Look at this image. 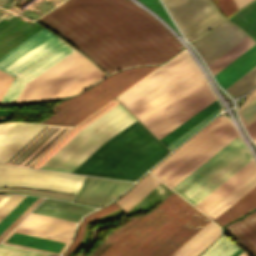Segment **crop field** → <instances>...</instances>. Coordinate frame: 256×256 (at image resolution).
<instances>
[{"instance_id": "crop-field-1", "label": "crop field", "mask_w": 256, "mask_h": 256, "mask_svg": "<svg viewBox=\"0 0 256 256\" xmlns=\"http://www.w3.org/2000/svg\"><path fill=\"white\" fill-rule=\"evenodd\" d=\"M38 22L82 50L107 74L162 63L183 49L160 23L129 0H67Z\"/></svg>"}, {"instance_id": "crop-field-2", "label": "crop field", "mask_w": 256, "mask_h": 256, "mask_svg": "<svg viewBox=\"0 0 256 256\" xmlns=\"http://www.w3.org/2000/svg\"><path fill=\"white\" fill-rule=\"evenodd\" d=\"M168 153L136 120L103 143L73 173L135 181Z\"/></svg>"}, {"instance_id": "crop-field-3", "label": "crop field", "mask_w": 256, "mask_h": 256, "mask_svg": "<svg viewBox=\"0 0 256 256\" xmlns=\"http://www.w3.org/2000/svg\"><path fill=\"white\" fill-rule=\"evenodd\" d=\"M94 67L75 50L27 83L14 104H34L49 100ZM103 76L105 74L96 67L52 99L77 94Z\"/></svg>"}, {"instance_id": "crop-field-4", "label": "crop field", "mask_w": 256, "mask_h": 256, "mask_svg": "<svg viewBox=\"0 0 256 256\" xmlns=\"http://www.w3.org/2000/svg\"><path fill=\"white\" fill-rule=\"evenodd\" d=\"M136 120L120 103L80 130L39 168L70 173L103 142Z\"/></svg>"}, {"instance_id": "crop-field-5", "label": "crop field", "mask_w": 256, "mask_h": 256, "mask_svg": "<svg viewBox=\"0 0 256 256\" xmlns=\"http://www.w3.org/2000/svg\"><path fill=\"white\" fill-rule=\"evenodd\" d=\"M158 67L139 66L115 73L86 92L53 107V112L61 109L42 123L75 125Z\"/></svg>"}, {"instance_id": "crop-field-6", "label": "crop field", "mask_w": 256, "mask_h": 256, "mask_svg": "<svg viewBox=\"0 0 256 256\" xmlns=\"http://www.w3.org/2000/svg\"><path fill=\"white\" fill-rule=\"evenodd\" d=\"M251 160L238 136L172 189L195 206Z\"/></svg>"}, {"instance_id": "crop-field-7", "label": "crop field", "mask_w": 256, "mask_h": 256, "mask_svg": "<svg viewBox=\"0 0 256 256\" xmlns=\"http://www.w3.org/2000/svg\"><path fill=\"white\" fill-rule=\"evenodd\" d=\"M234 130L229 120L217 117L150 172L167 184Z\"/></svg>"}, {"instance_id": "crop-field-8", "label": "crop field", "mask_w": 256, "mask_h": 256, "mask_svg": "<svg viewBox=\"0 0 256 256\" xmlns=\"http://www.w3.org/2000/svg\"><path fill=\"white\" fill-rule=\"evenodd\" d=\"M254 43L236 25L226 20L193 45L214 76Z\"/></svg>"}, {"instance_id": "crop-field-9", "label": "crop field", "mask_w": 256, "mask_h": 256, "mask_svg": "<svg viewBox=\"0 0 256 256\" xmlns=\"http://www.w3.org/2000/svg\"><path fill=\"white\" fill-rule=\"evenodd\" d=\"M204 83L195 65L129 112L145 126Z\"/></svg>"}, {"instance_id": "crop-field-10", "label": "crop field", "mask_w": 256, "mask_h": 256, "mask_svg": "<svg viewBox=\"0 0 256 256\" xmlns=\"http://www.w3.org/2000/svg\"><path fill=\"white\" fill-rule=\"evenodd\" d=\"M85 177L0 164V186H24L77 194Z\"/></svg>"}, {"instance_id": "crop-field-11", "label": "crop field", "mask_w": 256, "mask_h": 256, "mask_svg": "<svg viewBox=\"0 0 256 256\" xmlns=\"http://www.w3.org/2000/svg\"><path fill=\"white\" fill-rule=\"evenodd\" d=\"M190 42L223 18L210 0H162Z\"/></svg>"}, {"instance_id": "crop-field-12", "label": "crop field", "mask_w": 256, "mask_h": 256, "mask_svg": "<svg viewBox=\"0 0 256 256\" xmlns=\"http://www.w3.org/2000/svg\"><path fill=\"white\" fill-rule=\"evenodd\" d=\"M193 65H195L194 62L186 52L182 51L167 64L116 99L129 111Z\"/></svg>"}, {"instance_id": "crop-field-13", "label": "crop field", "mask_w": 256, "mask_h": 256, "mask_svg": "<svg viewBox=\"0 0 256 256\" xmlns=\"http://www.w3.org/2000/svg\"><path fill=\"white\" fill-rule=\"evenodd\" d=\"M61 44V40L43 29L0 58V69L16 76Z\"/></svg>"}, {"instance_id": "crop-field-14", "label": "crop field", "mask_w": 256, "mask_h": 256, "mask_svg": "<svg viewBox=\"0 0 256 256\" xmlns=\"http://www.w3.org/2000/svg\"><path fill=\"white\" fill-rule=\"evenodd\" d=\"M197 212L183 200L121 256H148Z\"/></svg>"}, {"instance_id": "crop-field-15", "label": "crop field", "mask_w": 256, "mask_h": 256, "mask_svg": "<svg viewBox=\"0 0 256 256\" xmlns=\"http://www.w3.org/2000/svg\"><path fill=\"white\" fill-rule=\"evenodd\" d=\"M213 95L206 84L145 127L159 139L216 100Z\"/></svg>"}, {"instance_id": "crop-field-16", "label": "crop field", "mask_w": 256, "mask_h": 256, "mask_svg": "<svg viewBox=\"0 0 256 256\" xmlns=\"http://www.w3.org/2000/svg\"><path fill=\"white\" fill-rule=\"evenodd\" d=\"M182 200L183 199L174 192L169 194L155 209L140 219L100 256H119L122 254L128 247H130Z\"/></svg>"}, {"instance_id": "crop-field-17", "label": "crop field", "mask_w": 256, "mask_h": 256, "mask_svg": "<svg viewBox=\"0 0 256 256\" xmlns=\"http://www.w3.org/2000/svg\"><path fill=\"white\" fill-rule=\"evenodd\" d=\"M132 183L87 176L75 201L100 207L112 201Z\"/></svg>"}, {"instance_id": "crop-field-18", "label": "crop field", "mask_w": 256, "mask_h": 256, "mask_svg": "<svg viewBox=\"0 0 256 256\" xmlns=\"http://www.w3.org/2000/svg\"><path fill=\"white\" fill-rule=\"evenodd\" d=\"M71 128L47 125L6 163L29 167Z\"/></svg>"}, {"instance_id": "crop-field-19", "label": "crop field", "mask_w": 256, "mask_h": 256, "mask_svg": "<svg viewBox=\"0 0 256 256\" xmlns=\"http://www.w3.org/2000/svg\"><path fill=\"white\" fill-rule=\"evenodd\" d=\"M76 225V222L31 213L15 229L69 242Z\"/></svg>"}, {"instance_id": "crop-field-20", "label": "crop field", "mask_w": 256, "mask_h": 256, "mask_svg": "<svg viewBox=\"0 0 256 256\" xmlns=\"http://www.w3.org/2000/svg\"><path fill=\"white\" fill-rule=\"evenodd\" d=\"M73 50L75 49L64 44L49 54L47 57L39 61L37 64L29 68L27 71L19 75L17 78H15L6 94L2 98L0 105L13 104L27 82L45 71L47 68L55 64L57 61L68 55Z\"/></svg>"}, {"instance_id": "crop-field-21", "label": "crop field", "mask_w": 256, "mask_h": 256, "mask_svg": "<svg viewBox=\"0 0 256 256\" xmlns=\"http://www.w3.org/2000/svg\"><path fill=\"white\" fill-rule=\"evenodd\" d=\"M45 126L16 122L0 137V162L5 163Z\"/></svg>"}, {"instance_id": "crop-field-22", "label": "crop field", "mask_w": 256, "mask_h": 256, "mask_svg": "<svg viewBox=\"0 0 256 256\" xmlns=\"http://www.w3.org/2000/svg\"><path fill=\"white\" fill-rule=\"evenodd\" d=\"M209 221L198 212L149 256H171Z\"/></svg>"}, {"instance_id": "crop-field-23", "label": "crop field", "mask_w": 256, "mask_h": 256, "mask_svg": "<svg viewBox=\"0 0 256 256\" xmlns=\"http://www.w3.org/2000/svg\"><path fill=\"white\" fill-rule=\"evenodd\" d=\"M1 242L60 255L67 242L13 230Z\"/></svg>"}, {"instance_id": "crop-field-24", "label": "crop field", "mask_w": 256, "mask_h": 256, "mask_svg": "<svg viewBox=\"0 0 256 256\" xmlns=\"http://www.w3.org/2000/svg\"><path fill=\"white\" fill-rule=\"evenodd\" d=\"M92 210L94 208L70 202L45 199L33 212L79 222L83 215Z\"/></svg>"}, {"instance_id": "crop-field-25", "label": "crop field", "mask_w": 256, "mask_h": 256, "mask_svg": "<svg viewBox=\"0 0 256 256\" xmlns=\"http://www.w3.org/2000/svg\"><path fill=\"white\" fill-rule=\"evenodd\" d=\"M225 229L252 256H256V210Z\"/></svg>"}, {"instance_id": "crop-field-26", "label": "crop field", "mask_w": 256, "mask_h": 256, "mask_svg": "<svg viewBox=\"0 0 256 256\" xmlns=\"http://www.w3.org/2000/svg\"><path fill=\"white\" fill-rule=\"evenodd\" d=\"M256 64V43L214 77L225 89Z\"/></svg>"}, {"instance_id": "crop-field-27", "label": "crop field", "mask_w": 256, "mask_h": 256, "mask_svg": "<svg viewBox=\"0 0 256 256\" xmlns=\"http://www.w3.org/2000/svg\"><path fill=\"white\" fill-rule=\"evenodd\" d=\"M255 171L256 165L252 160L195 207L204 213Z\"/></svg>"}, {"instance_id": "crop-field-28", "label": "crop field", "mask_w": 256, "mask_h": 256, "mask_svg": "<svg viewBox=\"0 0 256 256\" xmlns=\"http://www.w3.org/2000/svg\"><path fill=\"white\" fill-rule=\"evenodd\" d=\"M219 232L220 228L210 221L172 256H197L219 236Z\"/></svg>"}, {"instance_id": "crop-field-29", "label": "crop field", "mask_w": 256, "mask_h": 256, "mask_svg": "<svg viewBox=\"0 0 256 256\" xmlns=\"http://www.w3.org/2000/svg\"><path fill=\"white\" fill-rule=\"evenodd\" d=\"M255 186L256 173H254L251 177H249L246 181H244L241 185H239L236 189L230 192L227 196H225L222 200H220L204 214L213 220Z\"/></svg>"}, {"instance_id": "crop-field-30", "label": "crop field", "mask_w": 256, "mask_h": 256, "mask_svg": "<svg viewBox=\"0 0 256 256\" xmlns=\"http://www.w3.org/2000/svg\"><path fill=\"white\" fill-rule=\"evenodd\" d=\"M159 182L160 181H158L156 178H154L152 175L148 173L129 192L123 195L116 202L126 212Z\"/></svg>"}, {"instance_id": "crop-field-31", "label": "crop field", "mask_w": 256, "mask_h": 256, "mask_svg": "<svg viewBox=\"0 0 256 256\" xmlns=\"http://www.w3.org/2000/svg\"><path fill=\"white\" fill-rule=\"evenodd\" d=\"M220 107L219 103L214 101L209 106L195 114L193 117L182 123L180 126L166 134L164 137L159 139L165 146L171 143L173 140L181 136L183 133L191 129L193 126L204 120L206 117L214 113Z\"/></svg>"}, {"instance_id": "crop-field-32", "label": "crop field", "mask_w": 256, "mask_h": 256, "mask_svg": "<svg viewBox=\"0 0 256 256\" xmlns=\"http://www.w3.org/2000/svg\"><path fill=\"white\" fill-rule=\"evenodd\" d=\"M256 207V187L220 215L216 221L221 226L238 218L244 213Z\"/></svg>"}, {"instance_id": "crop-field-33", "label": "crop field", "mask_w": 256, "mask_h": 256, "mask_svg": "<svg viewBox=\"0 0 256 256\" xmlns=\"http://www.w3.org/2000/svg\"><path fill=\"white\" fill-rule=\"evenodd\" d=\"M116 100H112L109 104L92 114L90 117L85 119L83 122L78 124L76 127H74L68 134H66L55 146H53L45 155H43L38 161H36L32 167L38 168L42 163H44L52 154H54L63 144H65L73 135H75L80 129H82L84 126L92 122L94 119L102 115L104 112L112 108L114 105H116ZM43 165V164H42Z\"/></svg>"}, {"instance_id": "crop-field-34", "label": "crop field", "mask_w": 256, "mask_h": 256, "mask_svg": "<svg viewBox=\"0 0 256 256\" xmlns=\"http://www.w3.org/2000/svg\"><path fill=\"white\" fill-rule=\"evenodd\" d=\"M171 192L164 184L161 182L154 187L147 195H145L138 203H136L130 210L126 213L128 215L135 214L137 212H144L154 206L156 203L161 201L165 196Z\"/></svg>"}, {"instance_id": "crop-field-35", "label": "crop field", "mask_w": 256, "mask_h": 256, "mask_svg": "<svg viewBox=\"0 0 256 256\" xmlns=\"http://www.w3.org/2000/svg\"><path fill=\"white\" fill-rule=\"evenodd\" d=\"M229 20L236 23L250 36L256 37V0Z\"/></svg>"}, {"instance_id": "crop-field-36", "label": "crop field", "mask_w": 256, "mask_h": 256, "mask_svg": "<svg viewBox=\"0 0 256 256\" xmlns=\"http://www.w3.org/2000/svg\"><path fill=\"white\" fill-rule=\"evenodd\" d=\"M238 136L236 130L232 132L229 136H227L224 140H222L219 144H217L214 148H212L209 152H207L204 156L198 159L195 163H193L190 167H188L185 171H183L180 175H178L175 179H173L167 185L171 188L175 186L178 182L184 179L187 175H189L192 171H194L197 167H199L202 163L208 160L211 156H213L217 151H219L222 147H224L227 143H229L233 138Z\"/></svg>"}, {"instance_id": "crop-field-37", "label": "crop field", "mask_w": 256, "mask_h": 256, "mask_svg": "<svg viewBox=\"0 0 256 256\" xmlns=\"http://www.w3.org/2000/svg\"><path fill=\"white\" fill-rule=\"evenodd\" d=\"M144 215L145 214L134 217L130 219L128 222L121 225L116 230H114L88 256H99L105 249H107L114 241H116L123 233H125L131 226H133Z\"/></svg>"}, {"instance_id": "crop-field-38", "label": "crop field", "mask_w": 256, "mask_h": 256, "mask_svg": "<svg viewBox=\"0 0 256 256\" xmlns=\"http://www.w3.org/2000/svg\"><path fill=\"white\" fill-rule=\"evenodd\" d=\"M239 248L223 235L200 256H230Z\"/></svg>"}, {"instance_id": "crop-field-39", "label": "crop field", "mask_w": 256, "mask_h": 256, "mask_svg": "<svg viewBox=\"0 0 256 256\" xmlns=\"http://www.w3.org/2000/svg\"><path fill=\"white\" fill-rule=\"evenodd\" d=\"M119 209V207L117 206V204L114 202L90 215H88L82 222L77 234H76V237L72 243V245L70 246V248L66 251L65 255L64 256H68V254L78 246V244L80 243L81 239H82V236H83V233H84V230H85V224L93 219H96L100 216H103L105 214H108L112 211H115Z\"/></svg>"}, {"instance_id": "crop-field-40", "label": "crop field", "mask_w": 256, "mask_h": 256, "mask_svg": "<svg viewBox=\"0 0 256 256\" xmlns=\"http://www.w3.org/2000/svg\"><path fill=\"white\" fill-rule=\"evenodd\" d=\"M256 84V66L248 71L245 75L239 78L236 82L230 85L227 90L228 92L239 95L245 93Z\"/></svg>"}, {"instance_id": "crop-field-41", "label": "crop field", "mask_w": 256, "mask_h": 256, "mask_svg": "<svg viewBox=\"0 0 256 256\" xmlns=\"http://www.w3.org/2000/svg\"><path fill=\"white\" fill-rule=\"evenodd\" d=\"M238 113L244 128L256 119V89L250 93L244 105L238 108Z\"/></svg>"}, {"instance_id": "crop-field-42", "label": "crop field", "mask_w": 256, "mask_h": 256, "mask_svg": "<svg viewBox=\"0 0 256 256\" xmlns=\"http://www.w3.org/2000/svg\"><path fill=\"white\" fill-rule=\"evenodd\" d=\"M37 197L26 196L9 214L0 221V233L20 215Z\"/></svg>"}, {"instance_id": "crop-field-43", "label": "crop field", "mask_w": 256, "mask_h": 256, "mask_svg": "<svg viewBox=\"0 0 256 256\" xmlns=\"http://www.w3.org/2000/svg\"><path fill=\"white\" fill-rule=\"evenodd\" d=\"M0 256H50V255L0 244Z\"/></svg>"}, {"instance_id": "crop-field-44", "label": "crop field", "mask_w": 256, "mask_h": 256, "mask_svg": "<svg viewBox=\"0 0 256 256\" xmlns=\"http://www.w3.org/2000/svg\"><path fill=\"white\" fill-rule=\"evenodd\" d=\"M0 192H16V193H25V194H34V195H41V196H49V197H56L65 200H70L74 198V195L69 194H60V193H52L40 190H29V189H15V188H0Z\"/></svg>"}, {"instance_id": "crop-field-45", "label": "crop field", "mask_w": 256, "mask_h": 256, "mask_svg": "<svg viewBox=\"0 0 256 256\" xmlns=\"http://www.w3.org/2000/svg\"><path fill=\"white\" fill-rule=\"evenodd\" d=\"M25 196L6 195L0 201V220L9 213Z\"/></svg>"}, {"instance_id": "crop-field-46", "label": "crop field", "mask_w": 256, "mask_h": 256, "mask_svg": "<svg viewBox=\"0 0 256 256\" xmlns=\"http://www.w3.org/2000/svg\"><path fill=\"white\" fill-rule=\"evenodd\" d=\"M221 111V109H219L218 111H216L214 114H212L211 116H209L208 118H206L204 121H202L201 123H199L198 125H196L194 128H192L191 130H189L188 132H186L185 134H183L181 137H179L178 139H176L175 141H173L171 144H169L168 146H166L167 148H169L170 150H172L173 148H175L177 145H179L181 142H183L185 139H187L190 135H192L194 132H196L199 128H201L204 124H206L209 120H211L216 114H218Z\"/></svg>"}, {"instance_id": "crop-field-47", "label": "crop field", "mask_w": 256, "mask_h": 256, "mask_svg": "<svg viewBox=\"0 0 256 256\" xmlns=\"http://www.w3.org/2000/svg\"><path fill=\"white\" fill-rule=\"evenodd\" d=\"M44 198L38 197L20 216H18L1 234L0 240L5 237L30 211H32Z\"/></svg>"}, {"instance_id": "crop-field-48", "label": "crop field", "mask_w": 256, "mask_h": 256, "mask_svg": "<svg viewBox=\"0 0 256 256\" xmlns=\"http://www.w3.org/2000/svg\"><path fill=\"white\" fill-rule=\"evenodd\" d=\"M215 3L226 17L238 10L233 0H215Z\"/></svg>"}, {"instance_id": "crop-field-49", "label": "crop field", "mask_w": 256, "mask_h": 256, "mask_svg": "<svg viewBox=\"0 0 256 256\" xmlns=\"http://www.w3.org/2000/svg\"><path fill=\"white\" fill-rule=\"evenodd\" d=\"M14 78L0 72V100L5 94Z\"/></svg>"}, {"instance_id": "crop-field-50", "label": "crop field", "mask_w": 256, "mask_h": 256, "mask_svg": "<svg viewBox=\"0 0 256 256\" xmlns=\"http://www.w3.org/2000/svg\"><path fill=\"white\" fill-rule=\"evenodd\" d=\"M253 140L256 138V121L250 124L248 127L245 128ZM251 138V139H252Z\"/></svg>"}, {"instance_id": "crop-field-51", "label": "crop field", "mask_w": 256, "mask_h": 256, "mask_svg": "<svg viewBox=\"0 0 256 256\" xmlns=\"http://www.w3.org/2000/svg\"><path fill=\"white\" fill-rule=\"evenodd\" d=\"M238 9L247 4L251 0H234Z\"/></svg>"}, {"instance_id": "crop-field-52", "label": "crop field", "mask_w": 256, "mask_h": 256, "mask_svg": "<svg viewBox=\"0 0 256 256\" xmlns=\"http://www.w3.org/2000/svg\"><path fill=\"white\" fill-rule=\"evenodd\" d=\"M243 251H241L240 249L238 251H236L232 256H238L240 253H242Z\"/></svg>"}, {"instance_id": "crop-field-53", "label": "crop field", "mask_w": 256, "mask_h": 256, "mask_svg": "<svg viewBox=\"0 0 256 256\" xmlns=\"http://www.w3.org/2000/svg\"><path fill=\"white\" fill-rule=\"evenodd\" d=\"M239 256H247L244 252L242 254H240Z\"/></svg>"}, {"instance_id": "crop-field-54", "label": "crop field", "mask_w": 256, "mask_h": 256, "mask_svg": "<svg viewBox=\"0 0 256 256\" xmlns=\"http://www.w3.org/2000/svg\"><path fill=\"white\" fill-rule=\"evenodd\" d=\"M5 195H0V200L4 197Z\"/></svg>"}, {"instance_id": "crop-field-55", "label": "crop field", "mask_w": 256, "mask_h": 256, "mask_svg": "<svg viewBox=\"0 0 256 256\" xmlns=\"http://www.w3.org/2000/svg\"><path fill=\"white\" fill-rule=\"evenodd\" d=\"M254 141H255V143H256V139H255Z\"/></svg>"}, {"instance_id": "crop-field-56", "label": "crop field", "mask_w": 256, "mask_h": 256, "mask_svg": "<svg viewBox=\"0 0 256 256\" xmlns=\"http://www.w3.org/2000/svg\"><path fill=\"white\" fill-rule=\"evenodd\" d=\"M51 256H54V255H51Z\"/></svg>"}, {"instance_id": "crop-field-57", "label": "crop field", "mask_w": 256, "mask_h": 256, "mask_svg": "<svg viewBox=\"0 0 256 256\" xmlns=\"http://www.w3.org/2000/svg\"><path fill=\"white\" fill-rule=\"evenodd\" d=\"M213 1V0H212Z\"/></svg>"}]
</instances>
